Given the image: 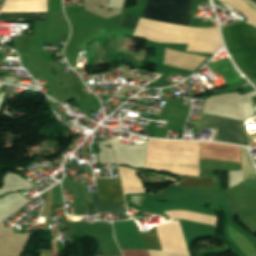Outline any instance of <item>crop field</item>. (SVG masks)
<instances>
[{
	"label": "crop field",
	"mask_w": 256,
	"mask_h": 256,
	"mask_svg": "<svg viewBox=\"0 0 256 256\" xmlns=\"http://www.w3.org/2000/svg\"><path fill=\"white\" fill-rule=\"evenodd\" d=\"M192 0H148L143 18L188 26ZM140 19L134 36L153 42L188 44L186 51L215 53L222 46L217 27L196 29Z\"/></svg>",
	"instance_id": "obj_1"
},
{
	"label": "crop field",
	"mask_w": 256,
	"mask_h": 256,
	"mask_svg": "<svg viewBox=\"0 0 256 256\" xmlns=\"http://www.w3.org/2000/svg\"><path fill=\"white\" fill-rule=\"evenodd\" d=\"M223 38L256 31L242 22L222 27ZM226 48L237 66L255 84L256 82V32L224 39Z\"/></svg>",
	"instance_id": "obj_2"
},
{
	"label": "crop field",
	"mask_w": 256,
	"mask_h": 256,
	"mask_svg": "<svg viewBox=\"0 0 256 256\" xmlns=\"http://www.w3.org/2000/svg\"><path fill=\"white\" fill-rule=\"evenodd\" d=\"M198 128L217 129L214 140L249 145L242 121L202 114Z\"/></svg>",
	"instance_id": "obj_3"
},
{
	"label": "crop field",
	"mask_w": 256,
	"mask_h": 256,
	"mask_svg": "<svg viewBox=\"0 0 256 256\" xmlns=\"http://www.w3.org/2000/svg\"><path fill=\"white\" fill-rule=\"evenodd\" d=\"M200 158L241 163L240 148L201 142Z\"/></svg>",
	"instance_id": "obj_4"
},
{
	"label": "crop field",
	"mask_w": 256,
	"mask_h": 256,
	"mask_svg": "<svg viewBox=\"0 0 256 256\" xmlns=\"http://www.w3.org/2000/svg\"><path fill=\"white\" fill-rule=\"evenodd\" d=\"M102 204L125 205L120 179H95Z\"/></svg>",
	"instance_id": "obj_5"
},
{
	"label": "crop field",
	"mask_w": 256,
	"mask_h": 256,
	"mask_svg": "<svg viewBox=\"0 0 256 256\" xmlns=\"http://www.w3.org/2000/svg\"><path fill=\"white\" fill-rule=\"evenodd\" d=\"M224 4L233 6L241 10L250 19L247 23L256 26V0H218Z\"/></svg>",
	"instance_id": "obj_6"
},
{
	"label": "crop field",
	"mask_w": 256,
	"mask_h": 256,
	"mask_svg": "<svg viewBox=\"0 0 256 256\" xmlns=\"http://www.w3.org/2000/svg\"><path fill=\"white\" fill-rule=\"evenodd\" d=\"M0 21H47V13H0Z\"/></svg>",
	"instance_id": "obj_7"
},
{
	"label": "crop field",
	"mask_w": 256,
	"mask_h": 256,
	"mask_svg": "<svg viewBox=\"0 0 256 256\" xmlns=\"http://www.w3.org/2000/svg\"><path fill=\"white\" fill-rule=\"evenodd\" d=\"M182 187H210L216 188L214 178H184L182 181L176 183Z\"/></svg>",
	"instance_id": "obj_8"
},
{
	"label": "crop field",
	"mask_w": 256,
	"mask_h": 256,
	"mask_svg": "<svg viewBox=\"0 0 256 256\" xmlns=\"http://www.w3.org/2000/svg\"><path fill=\"white\" fill-rule=\"evenodd\" d=\"M93 205L97 212L109 211L110 214H118L120 220H124L123 211L121 206H101L98 193L90 194Z\"/></svg>",
	"instance_id": "obj_9"
},
{
	"label": "crop field",
	"mask_w": 256,
	"mask_h": 256,
	"mask_svg": "<svg viewBox=\"0 0 256 256\" xmlns=\"http://www.w3.org/2000/svg\"><path fill=\"white\" fill-rule=\"evenodd\" d=\"M143 234L146 239L148 249L161 250L155 227H152L151 231L143 232Z\"/></svg>",
	"instance_id": "obj_10"
},
{
	"label": "crop field",
	"mask_w": 256,
	"mask_h": 256,
	"mask_svg": "<svg viewBox=\"0 0 256 256\" xmlns=\"http://www.w3.org/2000/svg\"><path fill=\"white\" fill-rule=\"evenodd\" d=\"M139 19L138 17L125 15L119 27L135 29Z\"/></svg>",
	"instance_id": "obj_11"
}]
</instances>
